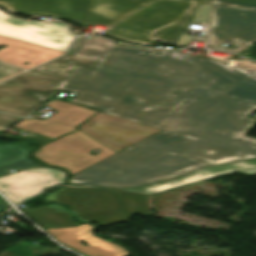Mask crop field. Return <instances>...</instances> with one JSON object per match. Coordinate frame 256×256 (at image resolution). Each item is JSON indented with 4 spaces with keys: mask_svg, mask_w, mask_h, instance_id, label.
Returning a JSON list of instances; mask_svg holds the SVG:
<instances>
[{
    "mask_svg": "<svg viewBox=\"0 0 256 256\" xmlns=\"http://www.w3.org/2000/svg\"><path fill=\"white\" fill-rule=\"evenodd\" d=\"M59 90L71 102L164 130L70 177L68 183L135 187L200 167L256 158V77L177 50L110 45L92 70L75 66Z\"/></svg>",
    "mask_w": 256,
    "mask_h": 256,
    "instance_id": "1",
    "label": "crop field"
},
{
    "mask_svg": "<svg viewBox=\"0 0 256 256\" xmlns=\"http://www.w3.org/2000/svg\"><path fill=\"white\" fill-rule=\"evenodd\" d=\"M153 0H0V6L16 13H37L81 24L111 27L126 15ZM194 3L210 0H158L133 13L106 35L119 40L153 46L147 36L175 22Z\"/></svg>",
    "mask_w": 256,
    "mask_h": 256,
    "instance_id": "2",
    "label": "crop field"
},
{
    "mask_svg": "<svg viewBox=\"0 0 256 256\" xmlns=\"http://www.w3.org/2000/svg\"><path fill=\"white\" fill-rule=\"evenodd\" d=\"M96 61L66 55L0 84V111L31 114L44 105L75 65L92 69ZM63 66L64 69L60 68Z\"/></svg>",
    "mask_w": 256,
    "mask_h": 256,
    "instance_id": "3",
    "label": "crop field"
},
{
    "mask_svg": "<svg viewBox=\"0 0 256 256\" xmlns=\"http://www.w3.org/2000/svg\"><path fill=\"white\" fill-rule=\"evenodd\" d=\"M44 200L70 205L76 220L97 222L99 227L127 221L136 214L151 216L146 195L125 191L62 187Z\"/></svg>",
    "mask_w": 256,
    "mask_h": 256,
    "instance_id": "4",
    "label": "crop field"
},
{
    "mask_svg": "<svg viewBox=\"0 0 256 256\" xmlns=\"http://www.w3.org/2000/svg\"><path fill=\"white\" fill-rule=\"evenodd\" d=\"M208 36L207 47L224 39L256 41V0H214Z\"/></svg>",
    "mask_w": 256,
    "mask_h": 256,
    "instance_id": "5",
    "label": "crop field"
},
{
    "mask_svg": "<svg viewBox=\"0 0 256 256\" xmlns=\"http://www.w3.org/2000/svg\"><path fill=\"white\" fill-rule=\"evenodd\" d=\"M94 148L102 151L91 153ZM115 153L117 152L78 130L41 147L32 155L46 164L67 169L72 176Z\"/></svg>",
    "mask_w": 256,
    "mask_h": 256,
    "instance_id": "6",
    "label": "crop field"
},
{
    "mask_svg": "<svg viewBox=\"0 0 256 256\" xmlns=\"http://www.w3.org/2000/svg\"><path fill=\"white\" fill-rule=\"evenodd\" d=\"M78 129L117 152L161 131L103 112L96 114Z\"/></svg>",
    "mask_w": 256,
    "mask_h": 256,
    "instance_id": "7",
    "label": "crop field"
},
{
    "mask_svg": "<svg viewBox=\"0 0 256 256\" xmlns=\"http://www.w3.org/2000/svg\"><path fill=\"white\" fill-rule=\"evenodd\" d=\"M0 35L65 52L75 38L62 23L23 20L0 10Z\"/></svg>",
    "mask_w": 256,
    "mask_h": 256,
    "instance_id": "8",
    "label": "crop field"
},
{
    "mask_svg": "<svg viewBox=\"0 0 256 256\" xmlns=\"http://www.w3.org/2000/svg\"><path fill=\"white\" fill-rule=\"evenodd\" d=\"M65 178L66 172L56 168L26 169L0 177V191L16 204Z\"/></svg>",
    "mask_w": 256,
    "mask_h": 256,
    "instance_id": "9",
    "label": "crop field"
},
{
    "mask_svg": "<svg viewBox=\"0 0 256 256\" xmlns=\"http://www.w3.org/2000/svg\"><path fill=\"white\" fill-rule=\"evenodd\" d=\"M47 107L58 110L46 120L26 119L15 128L57 138L75 131V127L93 116L97 111L55 100Z\"/></svg>",
    "mask_w": 256,
    "mask_h": 256,
    "instance_id": "10",
    "label": "crop field"
},
{
    "mask_svg": "<svg viewBox=\"0 0 256 256\" xmlns=\"http://www.w3.org/2000/svg\"><path fill=\"white\" fill-rule=\"evenodd\" d=\"M239 171L244 174L253 175L256 174V160L229 163L224 165H218L214 167H206L199 171L192 172L188 175L180 177L176 180L153 184L151 186L132 188V189H120L126 191H132L143 194H153L170 188L178 187L181 185L189 184L192 182L200 181L203 179Z\"/></svg>",
    "mask_w": 256,
    "mask_h": 256,
    "instance_id": "11",
    "label": "crop field"
},
{
    "mask_svg": "<svg viewBox=\"0 0 256 256\" xmlns=\"http://www.w3.org/2000/svg\"><path fill=\"white\" fill-rule=\"evenodd\" d=\"M0 60L30 69L63 54V52L0 36ZM29 62L28 65H24Z\"/></svg>",
    "mask_w": 256,
    "mask_h": 256,
    "instance_id": "12",
    "label": "crop field"
},
{
    "mask_svg": "<svg viewBox=\"0 0 256 256\" xmlns=\"http://www.w3.org/2000/svg\"><path fill=\"white\" fill-rule=\"evenodd\" d=\"M91 228L61 241L69 248L87 256H124L127 253L122 247L114 245L106 240L98 239L91 234ZM86 241L89 247L80 242Z\"/></svg>",
    "mask_w": 256,
    "mask_h": 256,
    "instance_id": "13",
    "label": "crop field"
},
{
    "mask_svg": "<svg viewBox=\"0 0 256 256\" xmlns=\"http://www.w3.org/2000/svg\"><path fill=\"white\" fill-rule=\"evenodd\" d=\"M31 150L21 143L0 145V175L15 169L43 166L28 158Z\"/></svg>",
    "mask_w": 256,
    "mask_h": 256,
    "instance_id": "14",
    "label": "crop field"
},
{
    "mask_svg": "<svg viewBox=\"0 0 256 256\" xmlns=\"http://www.w3.org/2000/svg\"><path fill=\"white\" fill-rule=\"evenodd\" d=\"M23 212L45 228L80 225L69 218V214L63 206L56 203Z\"/></svg>",
    "mask_w": 256,
    "mask_h": 256,
    "instance_id": "15",
    "label": "crop field"
},
{
    "mask_svg": "<svg viewBox=\"0 0 256 256\" xmlns=\"http://www.w3.org/2000/svg\"><path fill=\"white\" fill-rule=\"evenodd\" d=\"M199 4H194L193 8L179 18L175 23L154 31L148 37L165 44L174 45L184 27L192 20L196 8Z\"/></svg>",
    "mask_w": 256,
    "mask_h": 256,
    "instance_id": "16",
    "label": "crop field"
},
{
    "mask_svg": "<svg viewBox=\"0 0 256 256\" xmlns=\"http://www.w3.org/2000/svg\"><path fill=\"white\" fill-rule=\"evenodd\" d=\"M109 45V43H106L102 40L93 37L88 40V42L78 52L77 56H81L92 60H98Z\"/></svg>",
    "mask_w": 256,
    "mask_h": 256,
    "instance_id": "17",
    "label": "crop field"
},
{
    "mask_svg": "<svg viewBox=\"0 0 256 256\" xmlns=\"http://www.w3.org/2000/svg\"><path fill=\"white\" fill-rule=\"evenodd\" d=\"M209 7H210V5H200L198 11L196 12V16H195L194 20L188 25V27L192 23H194V22H206L207 21L208 12H209ZM187 28L182 33L180 39L176 43V46L188 45V42H189L191 36L184 35V33L187 30Z\"/></svg>",
    "mask_w": 256,
    "mask_h": 256,
    "instance_id": "18",
    "label": "crop field"
},
{
    "mask_svg": "<svg viewBox=\"0 0 256 256\" xmlns=\"http://www.w3.org/2000/svg\"><path fill=\"white\" fill-rule=\"evenodd\" d=\"M91 227V225L83 224L79 227L68 228V229H46L55 239L61 241L65 238L73 236L87 228Z\"/></svg>",
    "mask_w": 256,
    "mask_h": 256,
    "instance_id": "19",
    "label": "crop field"
},
{
    "mask_svg": "<svg viewBox=\"0 0 256 256\" xmlns=\"http://www.w3.org/2000/svg\"><path fill=\"white\" fill-rule=\"evenodd\" d=\"M23 120L22 117L0 113V133Z\"/></svg>",
    "mask_w": 256,
    "mask_h": 256,
    "instance_id": "20",
    "label": "crop field"
},
{
    "mask_svg": "<svg viewBox=\"0 0 256 256\" xmlns=\"http://www.w3.org/2000/svg\"><path fill=\"white\" fill-rule=\"evenodd\" d=\"M21 72H23V70L8 66L0 62V82Z\"/></svg>",
    "mask_w": 256,
    "mask_h": 256,
    "instance_id": "21",
    "label": "crop field"
},
{
    "mask_svg": "<svg viewBox=\"0 0 256 256\" xmlns=\"http://www.w3.org/2000/svg\"><path fill=\"white\" fill-rule=\"evenodd\" d=\"M232 41L234 43V46H232V47H224L223 45H220V46H214L213 49L219 50V51H224V52H234V53H237V52L245 49L247 46L250 45V44L249 45H245V44H243L242 42H240L238 40H232Z\"/></svg>",
    "mask_w": 256,
    "mask_h": 256,
    "instance_id": "22",
    "label": "crop field"
},
{
    "mask_svg": "<svg viewBox=\"0 0 256 256\" xmlns=\"http://www.w3.org/2000/svg\"><path fill=\"white\" fill-rule=\"evenodd\" d=\"M230 64L249 74L256 75V65L254 64H250L248 62H234V61H231Z\"/></svg>",
    "mask_w": 256,
    "mask_h": 256,
    "instance_id": "23",
    "label": "crop field"
},
{
    "mask_svg": "<svg viewBox=\"0 0 256 256\" xmlns=\"http://www.w3.org/2000/svg\"><path fill=\"white\" fill-rule=\"evenodd\" d=\"M88 38L79 37L74 44L71 46L70 54L76 55L77 52L82 48V46L87 42Z\"/></svg>",
    "mask_w": 256,
    "mask_h": 256,
    "instance_id": "24",
    "label": "crop field"
},
{
    "mask_svg": "<svg viewBox=\"0 0 256 256\" xmlns=\"http://www.w3.org/2000/svg\"><path fill=\"white\" fill-rule=\"evenodd\" d=\"M8 207H10L9 204L0 197V212L7 209Z\"/></svg>",
    "mask_w": 256,
    "mask_h": 256,
    "instance_id": "25",
    "label": "crop field"
},
{
    "mask_svg": "<svg viewBox=\"0 0 256 256\" xmlns=\"http://www.w3.org/2000/svg\"><path fill=\"white\" fill-rule=\"evenodd\" d=\"M139 122V121H138ZM141 123H143V122H141ZM144 124H146V123H144ZM148 125H150V124H148ZM151 126H153V125H151ZM154 127H157V126H154ZM157 128H159V127H157ZM159 129H161V128H159ZM163 130V129H162Z\"/></svg>",
    "mask_w": 256,
    "mask_h": 256,
    "instance_id": "26",
    "label": "crop field"
}]
</instances>
